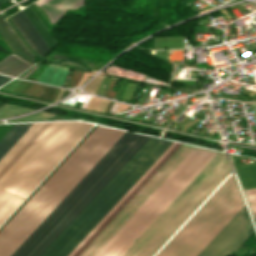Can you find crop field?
Listing matches in <instances>:
<instances>
[{
    "label": "crop field",
    "mask_w": 256,
    "mask_h": 256,
    "mask_svg": "<svg viewBox=\"0 0 256 256\" xmlns=\"http://www.w3.org/2000/svg\"><path fill=\"white\" fill-rule=\"evenodd\" d=\"M92 124H34L0 160V190L24 200ZM0 191V225L22 200Z\"/></svg>",
    "instance_id": "1"
},
{
    "label": "crop field",
    "mask_w": 256,
    "mask_h": 256,
    "mask_svg": "<svg viewBox=\"0 0 256 256\" xmlns=\"http://www.w3.org/2000/svg\"><path fill=\"white\" fill-rule=\"evenodd\" d=\"M124 133L97 126L0 231V256H10Z\"/></svg>",
    "instance_id": "2"
},
{
    "label": "crop field",
    "mask_w": 256,
    "mask_h": 256,
    "mask_svg": "<svg viewBox=\"0 0 256 256\" xmlns=\"http://www.w3.org/2000/svg\"><path fill=\"white\" fill-rule=\"evenodd\" d=\"M149 138L126 132L12 256H40Z\"/></svg>",
    "instance_id": "3"
},
{
    "label": "crop field",
    "mask_w": 256,
    "mask_h": 256,
    "mask_svg": "<svg viewBox=\"0 0 256 256\" xmlns=\"http://www.w3.org/2000/svg\"><path fill=\"white\" fill-rule=\"evenodd\" d=\"M171 143L151 137L41 256H67Z\"/></svg>",
    "instance_id": "4"
},
{
    "label": "crop field",
    "mask_w": 256,
    "mask_h": 256,
    "mask_svg": "<svg viewBox=\"0 0 256 256\" xmlns=\"http://www.w3.org/2000/svg\"><path fill=\"white\" fill-rule=\"evenodd\" d=\"M231 171L218 152L123 256H153Z\"/></svg>",
    "instance_id": "5"
},
{
    "label": "crop field",
    "mask_w": 256,
    "mask_h": 256,
    "mask_svg": "<svg viewBox=\"0 0 256 256\" xmlns=\"http://www.w3.org/2000/svg\"><path fill=\"white\" fill-rule=\"evenodd\" d=\"M216 153L196 147L96 256H122Z\"/></svg>",
    "instance_id": "6"
},
{
    "label": "crop field",
    "mask_w": 256,
    "mask_h": 256,
    "mask_svg": "<svg viewBox=\"0 0 256 256\" xmlns=\"http://www.w3.org/2000/svg\"><path fill=\"white\" fill-rule=\"evenodd\" d=\"M243 205L231 174L156 256H197Z\"/></svg>",
    "instance_id": "7"
},
{
    "label": "crop field",
    "mask_w": 256,
    "mask_h": 256,
    "mask_svg": "<svg viewBox=\"0 0 256 256\" xmlns=\"http://www.w3.org/2000/svg\"><path fill=\"white\" fill-rule=\"evenodd\" d=\"M194 148L182 144L79 256H95Z\"/></svg>",
    "instance_id": "8"
},
{
    "label": "crop field",
    "mask_w": 256,
    "mask_h": 256,
    "mask_svg": "<svg viewBox=\"0 0 256 256\" xmlns=\"http://www.w3.org/2000/svg\"><path fill=\"white\" fill-rule=\"evenodd\" d=\"M254 233L243 206L198 256H227L235 252Z\"/></svg>",
    "instance_id": "9"
},
{
    "label": "crop field",
    "mask_w": 256,
    "mask_h": 256,
    "mask_svg": "<svg viewBox=\"0 0 256 256\" xmlns=\"http://www.w3.org/2000/svg\"><path fill=\"white\" fill-rule=\"evenodd\" d=\"M180 145V143L173 142L68 256H78Z\"/></svg>",
    "instance_id": "10"
},
{
    "label": "crop field",
    "mask_w": 256,
    "mask_h": 256,
    "mask_svg": "<svg viewBox=\"0 0 256 256\" xmlns=\"http://www.w3.org/2000/svg\"><path fill=\"white\" fill-rule=\"evenodd\" d=\"M11 20L36 52L43 56L51 50L23 10L13 15Z\"/></svg>",
    "instance_id": "11"
},
{
    "label": "crop field",
    "mask_w": 256,
    "mask_h": 256,
    "mask_svg": "<svg viewBox=\"0 0 256 256\" xmlns=\"http://www.w3.org/2000/svg\"><path fill=\"white\" fill-rule=\"evenodd\" d=\"M0 34L16 54L33 63V55L26 49L9 24L3 20L2 16L0 17Z\"/></svg>",
    "instance_id": "12"
},
{
    "label": "crop field",
    "mask_w": 256,
    "mask_h": 256,
    "mask_svg": "<svg viewBox=\"0 0 256 256\" xmlns=\"http://www.w3.org/2000/svg\"><path fill=\"white\" fill-rule=\"evenodd\" d=\"M85 3V0H51L40 7L44 8L50 16V21L53 24L63 14L65 8H76Z\"/></svg>",
    "instance_id": "13"
},
{
    "label": "crop field",
    "mask_w": 256,
    "mask_h": 256,
    "mask_svg": "<svg viewBox=\"0 0 256 256\" xmlns=\"http://www.w3.org/2000/svg\"><path fill=\"white\" fill-rule=\"evenodd\" d=\"M30 66L27 61L11 53L0 61V73L15 77Z\"/></svg>",
    "instance_id": "14"
},
{
    "label": "crop field",
    "mask_w": 256,
    "mask_h": 256,
    "mask_svg": "<svg viewBox=\"0 0 256 256\" xmlns=\"http://www.w3.org/2000/svg\"><path fill=\"white\" fill-rule=\"evenodd\" d=\"M230 155V154H229ZM231 159H238L237 156L230 155ZM236 169L242 189L256 188V164L240 167L238 160H232Z\"/></svg>",
    "instance_id": "15"
},
{
    "label": "crop field",
    "mask_w": 256,
    "mask_h": 256,
    "mask_svg": "<svg viewBox=\"0 0 256 256\" xmlns=\"http://www.w3.org/2000/svg\"><path fill=\"white\" fill-rule=\"evenodd\" d=\"M33 124L14 125L0 140V159L25 134Z\"/></svg>",
    "instance_id": "16"
},
{
    "label": "crop field",
    "mask_w": 256,
    "mask_h": 256,
    "mask_svg": "<svg viewBox=\"0 0 256 256\" xmlns=\"http://www.w3.org/2000/svg\"><path fill=\"white\" fill-rule=\"evenodd\" d=\"M69 70V68L50 64L47 66L37 81L61 87Z\"/></svg>",
    "instance_id": "17"
},
{
    "label": "crop field",
    "mask_w": 256,
    "mask_h": 256,
    "mask_svg": "<svg viewBox=\"0 0 256 256\" xmlns=\"http://www.w3.org/2000/svg\"><path fill=\"white\" fill-rule=\"evenodd\" d=\"M23 10L38 29L40 34L43 36L48 45L51 47V49L58 45L48 30L45 28V26L42 24V22L39 20V18L36 16V14L33 12V10L30 8V6Z\"/></svg>",
    "instance_id": "18"
},
{
    "label": "crop field",
    "mask_w": 256,
    "mask_h": 256,
    "mask_svg": "<svg viewBox=\"0 0 256 256\" xmlns=\"http://www.w3.org/2000/svg\"><path fill=\"white\" fill-rule=\"evenodd\" d=\"M30 111L33 110L6 104L0 108V118L18 115Z\"/></svg>",
    "instance_id": "19"
},
{
    "label": "crop field",
    "mask_w": 256,
    "mask_h": 256,
    "mask_svg": "<svg viewBox=\"0 0 256 256\" xmlns=\"http://www.w3.org/2000/svg\"><path fill=\"white\" fill-rule=\"evenodd\" d=\"M254 218H256V189L243 191Z\"/></svg>",
    "instance_id": "20"
},
{
    "label": "crop field",
    "mask_w": 256,
    "mask_h": 256,
    "mask_svg": "<svg viewBox=\"0 0 256 256\" xmlns=\"http://www.w3.org/2000/svg\"><path fill=\"white\" fill-rule=\"evenodd\" d=\"M54 116L53 114H47L44 112H39L37 114L29 115L24 118L15 119V120H9L6 122H15V121H36V120H46L50 117Z\"/></svg>",
    "instance_id": "21"
},
{
    "label": "crop field",
    "mask_w": 256,
    "mask_h": 256,
    "mask_svg": "<svg viewBox=\"0 0 256 256\" xmlns=\"http://www.w3.org/2000/svg\"><path fill=\"white\" fill-rule=\"evenodd\" d=\"M21 82V80L15 79L9 83H7L6 85L2 86L0 88V90H4V91H8L10 92L15 86H17L19 83Z\"/></svg>",
    "instance_id": "22"
},
{
    "label": "crop field",
    "mask_w": 256,
    "mask_h": 256,
    "mask_svg": "<svg viewBox=\"0 0 256 256\" xmlns=\"http://www.w3.org/2000/svg\"><path fill=\"white\" fill-rule=\"evenodd\" d=\"M37 67V65L31 67L30 69H28L27 71H25L24 73H22L21 75H19L18 77L24 78L26 77L28 74H30L35 68Z\"/></svg>",
    "instance_id": "23"
},
{
    "label": "crop field",
    "mask_w": 256,
    "mask_h": 256,
    "mask_svg": "<svg viewBox=\"0 0 256 256\" xmlns=\"http://www.w3.org/2000/svg\"><path fill=\"white\" fill-rule=\"evenodd\" d=\"M12 78H8L5 76H1L0 75V86L3 85L4 83L8 82L9 80H11Z\"/></svg>",
    "instance_id": "24"
},
{
    "label": "crop field",
    "mask_w": 256,
    "mask_h": 256,
    "mask_svg": "<svg viewBox=\"0 0 256 256\" xmlns=\"http://www.w3.org/2000/svg\"><path fill=\"white\" fill-rule=\"evenodd\" d=\"M47 1H49V0H38L35 3L39 6V5H41V4H43V3L47 2Z\"/></svg>",
    "instance_id": "25"
},
{
    "label": "crop field",
    "mask_w": 256,
    "mask_h": 256,
    "mask_svg": "<svg viewBox=\"0 0 256 256\" xmlns=\"http://www.w3.org/2000/svg\"><path fill=\"white\" fill-rule=\"evenodd\" d=\"M4 105L3 103H0V106Z\"/></svg>",
    "instance_id": "26"
},
{
    "label": "crop field",
    "mask_w": 256,
    "mask_h": 256,
    "mask_svg": "<svg viewBox=\"0 0 256 256\" xmlns=\"http://www.w3.org/2000/svg\"><path fill=\"white\" fill-rule=\"evenodd\" d=\"M255 220V223H256V219H254Z\"/></svg>",
    "instance_id": "27"
},
{
    "label": "crop field",
    "mask_w": 256,
    "mask_h": 256,
    "mask_svg": "<svg viewBox=\"0 0 256 256\" xmlns=\"http://www.w3.org/2000/svg\"><path fill=\"white\" fill-rule=\"evenodd\" d=\"M0 123H3V122H0Z\"/></svg>",
    "instance_id": "28"
}]
</instances>
